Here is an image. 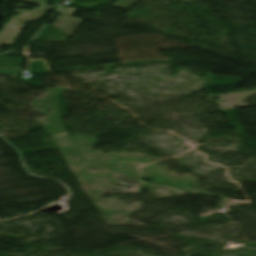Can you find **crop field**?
<instances>
[{
    "label": "crop field",
    "mask_w": 256,
    "mask_h": 256,
    "mask_svg": "<svg viewBox=\"0 0 256 256\" xmlns=\"http://www.w3.org/2000/svg\"><path fill=\"white\" fill-rule=\"evenodd\" d=\"M50 9H53V6L43 5L37 10L23 12L19 16L10 20L4 25V29L0 32V46L14 43V39L23 28L24 23L41 17L44 12Z\"/></svg>",
    "instance_id": "1"
},
{
    "label": "crop field",
    "mask_w": 256,
    "mask_h": 256,
    "mask_svg": "<svg viewBox=\"0 0 256 256\" xmlns=\"http://www.w3.org/2000/svg\"><path fill=\"white\" fill-rule=\"evenodd\" d=\"M75 8L73 7H65L60 6L59 12H62L61 15L58 17L56 22L53 24V27L62 29L67 31V34L72 35L74 30L77 28L81 19L71 16L74 12Z\"/></svg>",
    "instance_id": "2"
},
{
    "label": "crop field",
    "mask_w": 256,
    "mask_h": 256,
    "mask_svg": "<svg viewBox=\"0 0 256 256\" xmlns=\"http://www.w3.org/2000/svg\"><path fill=\"white\" fill-rule=\"evenodd\" d=\"M134 0H118L113 6L126 9Z\"/></svg>",
    "instance_id": "3"
},
{
    "label": "crop field",
    "mask_w": 256,
    "mask_h": 256,
    "mask_svg": "<svg viewBox=\"0 0 256 256\" xmlns=\"http://www.w3.org/2000/svg\"><path fill=\"white\" fill-rule=\"evenodd\" d=\"M20 1H26V2L37 3V4L45 2V0H20Z\"/></svg>",
    "instance_id": "4"
}]
</instances>
